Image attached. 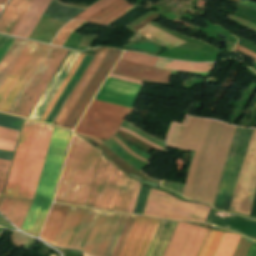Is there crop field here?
Here are the masks:
<instances>
[{"instance_id":"8a807250","label":"crop field","mask_w":256,"mask_h":256,"mask_svg":"<svg viewBox=\"0 0 256 256\" xmlns=\"http://www.w3.org/2000/svg\"><path fill=\"white\" fill-rule=\"evenodd\" d=\"M53 128L24 121L3 196L33 201ZM31 203L3 197L0 213L21 228Z\"/></svg>"},{"instance_id":"028f5c9d","label":"crop field","mask_w":256,"mask_h":256,"mask_svg":"<svg viewBox=\"0 0 256 256\" xmlns=\"http://www.w3.org/2000/svg\"><path fill=\"white\" fill-rule=\"evenodd\" d=\"M26 238H27V236H25L19 232H13V234L11 236L14 246L20 247V248H21L23 242L26 240Z\"/></svg>"},{"instance_id":"412701ff","label":"crop field","mask_w":256,"mask_h":256,"mask_svg":"<svg viewBox=\"0 0 256 256\" xmlns=\"http://www.w3.org/2000/svg\"><path fill=\"white\" fill-rule=\"evenodd\" d=\"M67 53V50L41 44L21 75V78L27 79L26 82L25 79L19 78L1 110L7 111L24 82L25 84L8 111L0 110V112L27 118Z\"/></svg>"},{"instance_id":"34b2d1b8","label":"crop field","mask_w":256,"mask_h":256,"mask_svg":"<svg viewBox=\"0 0 256 256\" xmlns=\"http://www.w3.org/2000/svg\"><path fill=\"white\" fill-rule=\"evenodd\" d=\"M238 128L241 129V131L224 182L220 202L219 205H214L225 209L227 208V204L250 130L242 129L240 127ZM255 189L256 129H251L227 209L249 215Z\"/></svg>"},{"instance_id":"214f88e0","label":"crop field","mask_w":256,"mask_h":256,"mask_svg":"<svg viewBox=\"0 0 256 256\" xmlns=\"http://www.w3.org/2000/svg\"><path fill=\"white\" fill-rule=\"evenodd\" d=\"M69 207L54 205L40 234L44 240L53 243Z\"/></svg>"},{"instance_id":"28ad6ade","label":"crop field","mask_w":256,"mask_h":256,"mask_svg":"<svg viewBox=\"0 0 256 256\" xmlns=\"http://www.w3.org/2000/svg\"><path fill=\"white\" fill-rule=\"evenodd\" d=\"M159 221L136 216L118 256H144Z\"/></svg>"},{"instance_id":"4177f3b9","label":"crop field","mask_w":256,"mask_h":256,"mask_svg":"<svg viewBox=\"0 0 256 256\" xmlns=\"http://www.w3.org/2000/svg\"><path fill=\"white\" fill-rule=\"evenodd\" d=\"M154 67L176 71V72L192 73V74H196L204 77H206V75L211 69V68L195 66V65L179 64V63H175V62H171V61H167L159 58Z\"/></svg>"},{"instance_id":"5a996713","label":"crop field","mask_w":256,"mask_h":256,"mask_svg":"<svg viewBox=\"0 0 256 256\" xmlns=\"http://www.w3.org/2000/svg\"><path fill=\"white\" fill-rule=\"evenodd\" d=\"M130 111V108L93 100L75 132L107 139Z\"/></svg>"},{"instance_id":"5d738f31","label":"crop field","mask_w":256,"mask_h":256,"mask_svg":"<svg viewBox=\"0 0 256 256\" xmlns=\"http://www.w3.org/2000/svg\"><path fill=\"white\" fill-rule=\"evenodd\" d=\"M84 256H88V255L84 254Z\"/></svg>"},{"instance_id":"c21b1889","label":"crop field","mask_w":256,"mask_h":256,"mask_svg":"<svg viewBox=\"0 0 256 256\" xmlns=\"http://www.w3.org/2000/svg\"><path fill=\"white\" fill-rule=\"evenodd\" d=\"M112 138L115 139L128 153H130L131 155H133V156H135V157H138V158H140V159H142V160H144V161L147 162V160H145V159H143V158L137 156L136 154H134V153H133L127 146H125L118 138H116L115 136L112 137ZM138 158H137V159H138ZM140 159H139V160H140Z\"/></svg>"},{"instance_id":"d1516ede","label":"crop field","mask_w":256,"mask_h":256,"mask_svg":"<svg viewBox=\"0 0 256 256\" xmlns=\"http://www.w3.org/2000/svg\"><path fill=\"white\" fill-rule=\"evenodd\" d=\"M225 233L210 231L199 256H214ZM240 235L226 233L215 256H231ZM251 239L241 236L232 256H246Z\"/></svg>"},{"instance_id":"d32e631a","label":"crop field","mask_w":256,"mask_h":256,"mask_svg":"<svg viewBox=\"0 0 256 256\" xmlns=\"http://www.w3.org/2000/svg\"><path fill=\"white\" fill-rule=\"evenodd\" d=\"M10 162L11 161H9V160L0 159V170H1L0 171V197H1V194H2V190H3V187H4L5 180H6V176H7V173H8Z\"/></svg>"},{"instance_id":"733c2abd","label":"crop field","mask_w":256,"mask_h":256,"mask_svg":"<svg viewBox=\"0 0 256 256\" xmlns=\"http://www.w3.org/2000/svg\"><path fill=\"white\" fill-rule=\"evenodd\" d=\"M50 1L33 0L12 35L28 38Z\"/></svg>"},{"instance_id":"f4fd0767","label":"crop field","mask_w":256,"mask_h":256,"mask_svg":"<svg viewBox=\"0 0 256 256\" xmlns=\"http://www.w3.org/2000/svg\"><path fill=\"white\" fill-rule=\"evenodd\" d=\"M100 152L73 135L55 202L86 205Z\"/></svg>"},{"instance_id":"730fd06b","label":"crop field","mask_w":256,"mask_h":256,"mask_svg":"<svg viewBox=\"0 0 256 256\" xmlns=\"http://www.w3.org/2000/svg\"><path fill=\"white\" fill-rule=\"evenodd\" d=\"M109 50V48H104V50L102 51L101 55L99 56V58L97 59L96 63L94 64V66L92 67L91 71L89 72V74L87 75L86 79L84 80V82L82 83L81 87L79 88V90L77 91V93L75 94L74 98L72 99V101L70 102L69 106L67 107V109L65 110L64 114L62 115V117L60 118L59 122L57 123L58 126H61V124L63 123L64 119L66 118V116L68 115L69 111L71 110V108L73 107V105L75 104L76 100L78 99V97L80 96V94L82 93L83 89L85 88V86L87 85L88 81L90 80V78L92 77V75L94 74L95 70L97 69V67L99 66V64L101 63L102 59L104 58V56L106 55L107 51Z\"/></svg>"},{"instance_id":"5142ce71","label":"crop field","mask_w":256,"mask_h":256,"mask_svg":"<svg viewBox=\"0 0 256 256\" xmlns=\"http://www.w3.org/2000/svg\"><path fill=\"white\" fill-rule=\"evenodd\" d=\"M112 72L142 80L165 83L169 82L171 74L169 71L152 68L121 59H119Z\"/></svg>"},{"instance_id":"d9b57169","label":"crop field","mask_w":256,"mask_h":256,"mask_svg":"<svg viewBox=\"0 0 256 256\" xmlns=\"http://www.w3.org/2000/svg\"><path fill=\"white\" fill-rule=\"evenodd\" d=\"M138 94V91L104 83L95 99L132 108Z\"/></svg>"},{"instance_id":"22f410ed","label":"crop field","mask_w":256,"mask_h":256,"mask_svg":"<svg viewBox=\"0 0 256 256\" xmlns=\"http://www.w3.org/2000/svg\"><path fill=\"white\" fill-rule=\"evenodd\" d=\"M119 53L120 50L110 48L102 63L100 64L95 74L89 81L88 85L84 89L83 93L81 94L76 104L70 111L69 115L65 119L62 127H66L72 130L73 126L77 122L78 118L82 114L83 110L87 106L88 102L92 98L93 94L97 90L98 86L102 82L103 78L107 74L108 70L112 66Z\"/></svg>"},{"instance_id":"b80d0937","label":"crop field","mask_w":256,"mask_h":256,"mask_svg":"<svg viewBox=\"0 0 256 256\" xmlns=\"http://www.w3.org/2000/svg\"><path fill=\"white\" fill-rule=\"evenodd\" d=\"M109 77H113V78L129 81V82H133V83H137V84H141V85L143 84V81L127 78V77L116 75V74H112V73H110Z\"/></svg>"},{"instance_id":"c035e120","label":"crop field","mask_w":256,"mask_h":256,"mask_svg":"<svg viewBox=\"0 0 256 256\" xmlns=\"http://www.w3.org/2000/svg\"><path fill=\"white\" fill-rule=\"evenodd\" d=\"M120 130L125 131V132H127V133H129V134L135 136L136 138H138V139H140V140H142V141H144V142L150 144L151 146H153V147H155V148H157V149H160V148H161V147H159V146H157V145H155V144H153V143H151V142H149V141L143 139L142 137L138 136L137 134H135V133H133V132L127 130V129H124V128L120 127Z\"/></svg>"},{"instance_id":"3316defc","label":"crop field","mask_w":256,"mask_h":256,"mask_svg":"<svg viewBox=\"0 0 256 256\" xmlns=\"http://www.w3.org/2000/svg\"><path fill=\"white\" fill-rule=\"evenodd\" d=\"M210 207L178 200L158 190H150L145 215L169 219L204 222Z\"/></svg>"},{"instance_id":"e1f06a70","label":"crop field","mask_w":256,"mask_h":256,"mask_svg":"<svg viewBox=\"0 0 256 256\" xmlns=\"http://www.w3.org/2000/svg\"><path fill=\"white\" fill-rule=\"evenodd\" d=\"M140 185H141V183L136 182V186H135V189H134V192H133V196H132V199H131V203H130L128 213L133 212V208H134V205H135V202H136V198H137V195H138V192H139Z\"/></svg>"},{"instance_id":"bc2a9ffb","label":"crop field","mask_w":256,"mask_h":256,"mask_svg":"<svg viewBox=\"0 0 256 256\" xmlns=\"http://www.w3.org/2000/svg\"><path fill=\"white\" fill-rule=\"evenodd\" d=\"M38 46V43L29 42L28 46L26 47L23 54L21 55L18 62L14 66L13 70L11 71L12 74L21 75L22 71L26 67L27 63L31 59L32 55L34 54ZM12 74H9V76L7 77L6 81L0 89V107L2 106L3 102L5 101L14 84L19 78L18 75Z\"/></svg>"},{"instance_id":"00972430","label":"crop field","mask_w":256,"mask_h":256,"mask_svg":"<svg viewBox=\"0 0 256 256\" xmlns=\"http://www.w3.org/2000/svg\"><path fill=\"white\" fill-rule=\"evenodd\" d=\"M131 6L132 5L125 0H116L86 21L105 25Z\"/></svg>"},{"instance_id":"750c4746","label":"crop field","mask_w":256,"mask_h":256,"mask_svg":"<svg viewBox=\"0 0 256 256\" xmlns=\"http://www.w3.org/2000/svg\"><path fill=\"white\" fill-rule=\"evenodd\" d=\"M121 59L129 60V61H133V62H137L140 64L153 67L157 58L151 57L148 55L138 54V53L124 52V54L121 56Z\"/></svg>"},{"instance_id":"ae1a2a85","label":"crop field","mask_w":256,"mask_h":256,"mask_svg":"<svg viewBox=\"0 0 256 256\" xmlns=\"http://www.w3.org/2000/svg\"><path fill=\"white\" fill-rule=\"evenodd\" d=\"M82 24L83 22L72 20L60 30L52 44L63 47L70 34Z\"/></svg>"},{"instance_id":"dafd665d","label":"crop field","mask_w":256,"mask_h":256,"mask_svg":"<svg viewBox=\"0 0 256 256\" xmlns=\"http://www.w3.org/2000/svg\"><path fill=\"white\" fill-rule=\"evenodd\" d=\"M92 58H93L92 56L86 55V57L84 58L83 62L81 61L82 63H81V65L79 64L80 66H79L78 70L76 69L77 70L76 73L74 72L75 74L72 77L71 81L69 80L70 81L69 84L67 85L66 89L64 90V92L60 96L59 100L57 101V103L53 107V109L50 112V114L48 115L47 119L45 120L46 123L52 124L53 120L57 116L58 112L62 108L63 104L67 100L68 96L72 92L73 88L77 84L78 80L82 76L83 72L87 68V66L90 63V61L92 60Z\"/></svg>"},{"instance_id":"dd49c442","label":"crop field","mask_w":256,"mask_h":256,"mask_svg":"<svg viewBox=\"0 0 256 256\" xmlns=\"http://www.w3.org/2000/svg\"><path fill=\"white\" fill-rule=\"evenodd\" d=\"M70 134L54 128L35 199L21 228L33 236H36L50 205Z\"/></svg>"},{"instance_id":"b54c1fbb","label":"crop field","mask_w":256,"mask_h":256,"mask_svg":"<svg viewBox=\"0 0 256 256\" xmlns=\"http://www.w3.org/2000/svg\"><path fill=\"white\" fill-rule=\"evenodd\" d=\"M7 0H0V4L4 5Z\"/></svg>"},{"instance_id":"ac0d7876","label":"crop field","mask_w":256,"mask_h":256,"mask_svg":"<svg viewBox=\"0 0 256 256\" xmlns=\"http://www.w3.org/2000/svg\"><path fill=\"white\" fill-rule=\"evenodd\" d=\"M133 217L70 207L53 245L116 256Z\"/></svg>"},{"instance_id":"0bd39190","label":"crop field","mask_w":256,"mask_h":256,"mask_svg":"<svg viewBox=\"0 0 256 256\" xmlns=\"http://www.w3.org/2000/svg\"><path fill=\"white\" fill-rule=\"evenodd\" d=\"M236 50L240 51L241 53L245 54L246 56H248L249 58L253 59L254 61H256V54L243 48V47H240V46H236L235 47Z\"/></svg>"},{"instance_id":"03da06ac","label":"crop field","mask_w":256,"mask_h":256,"mask_svg":"<svg viewBox=\"0 0 256 256\" xmlns=\"http://www.w3.org/2000/svg\"><path fill=\"white\" fill-rule=\"evenodd\" d=\"M247 256H256V241H253Z\"/></svg>"},{"instance_id":"e52e79f7","label":"crop field","mask_w":256,"mask_h":256,"mask_svg":"<svg viewBox=\"0 0 256 256\" xmlns=\"http://www.w3.org/2000/svg\"><path fill=\"white\" fill-rule=\"evenodd\" d=\"M135 182L102 153L86 207L126 213Z\"/></svg>"},{"instance_id":"cbeb9de0","label":"crop field","mask_w":256,"mask_h":256,"mask_svg":"<svg viewBox=\"0 0 256 256\" xmlns=\"http://www.w3.org/2000/svg\"><path fill=\"white\" fill-rule=\"evenodd\" d=\"M79 55H80L79 52L69 51L68 55L64 59L60 68L58 69L55 76L53 77L50 84L48 85L47 89L45 90L42 97L40 98L39 102L35 106L32 113L30 114L29 119L39 121L40 117L44 113L45 109L49 105L50 101L54 97L55 93L59 89L60 85L64 81L65 77L69 73L70 69L74 65Z\"/></svg>"},{"instance_id":"4a817a6b","label":"crop field","mask_w":256,"mask_h":256,"mask_svg":"<svg viewBox=\"0 0 256 256\" xmlns=\"http://www.w3.org/2000/svg\"><path fill=\"white\" fill-rule=\"evenodd\" d=\"M31 2L32 0H11L0 17V32L11 35Z\"/></svg>"},{"instance_id":"a9b5d70f","label":"crop field","mask_w":256,"mask_h":256,"mask_svg":"<svg viewBox=\"0 0 256 256\" xmlns=\"http://www.w3.org/2000/svg\"><path fill=\"white\" fill-rule=\"evenodd\" d=\"M137 33L171 49L177 45L183 44L185 43V41L178 39L166 32H163L151 25H146L145 27H143L142 29H140L139 31H137Z\"/></svg>"},{"instance_id":"5866460e","label":"crop field","mask_w":256,"mask_h":256,"mask_svg":"<svg viewBox=\"0 0 256 256\" xmlns=\"http://www.w3.org/2000/svg\"><path fill=\"white\" fill-rule=\"evenodd\" d=\"M13 40V37L0 35V61L2 60Z\"/></svg>"},{"instance_id":"d3111659","label":"crop field","mask_w":256,"mask_h":256,"mask_svg":"<svg viewBox=\"0 0 256 256\" xmlns=\"http://www.w3.org/2000/svg\"><path fill=\"white\" fill-rule=\"evenodd\" d=\"M85 54L81 53L80 57L78 58V60L76 61L75 65L73 66L72 70L70 71V73L68 74L67 78L65 79V81L63 82L62 86L60 87L59 91L57 92V94L55 95L54 99L52 100L51 104L49 105V107L47 108L46 112L44 113V115L41 118V122H44V120L46 119L47 115L49 114V112L51 111L52 107L54 106V104L56 103V101L58 100L59 96L61 95V93L63 92L64 88L66 87V85L68 84L69 80L71 79V77L73 76L74 72L76 71V69L78 68L79 64L81 63V61L83 60Z\"/></svg>"},{"instance_id":"1d83c4d3","label":"crop field","mask_w":256,"mask_h":256,"mask_svg":"<svg viewBox=\"0 0 256 256\" xmlns=\"http://www.w3.org/2000/svg\"><path fill=\"white\" fill-rule=\"evenodd\" d=\"M113 1L114 0H100L98 3H96L95 5H93L89 9H87L86 11L82 12L81 14L76 16L74 19L84 21L87 18H89L90 16H92L93 14H95L96 12H98L99 10H101L102 8H104L105 6H107L108 4H110L111 2H113Z\"/></svg>"},{"instance_id":"bd1437ed","label":"crop field","mask_w":256,"mask_h":256,"mask_svg":"<svg viewBox=\"0 0 256 256\" xmlns=\"http://www.w3.org/2000/svg\"><path fill=\"white\" fill-rule=\"evenodd\" d=\"M104 47L99 48L98 52L96 53L94 59L92 60L91 64L89 65V67L87 68L86 72L84 73V75L82 76V78L80 79L79 83L77 84V86L75 87V89L73 90L72 94L70 95V97L68 98L67 102L65 103V105L63 106V108L61 109L60 113L58 114V116L56 117L55 121L53 122L54 125H56V123L58 122L59 118L61 117V115L63 114L64 110L66 109V107L68 106L69 102L71 101V99L73 98L74 94L76 93V91L78 90L79 86L81 85V83L83 82V80L85 79L86 75L88 74V72L90 71L91 67L93 66V64L95 63L96 59L98 58V56L100 55L101 51L103 50Z\"/></svg>"},{"instance_id":"92a150f3","label":"crop field","mask_w":256,"mask_h":256,"mask_svg":"<svg viewBox=\"0 0 256 256\" xmlns=\"http://www.w3.org/2000/svg\"><path fill=\"white\" fill-rule=\"evenodd\" d=\"M28 41L15 38L6 55L0 63V87L25 49Z\"/></svg>"},{"instance_id":"d8731c3e","label":"crop field","mask_w":256,"mask_h":256,"mask_svg":"<svg viewBox=\"0 0 256 256\" xmlns=\"http://www.w3.org/2000/svg\"><path fill=\"white\" fill-rule=\"evenodd\" d=\"M178 222L161 220L145 256H162ZM208 229L179 222L163 256H197Z\"/></svg>"},{"instance_id":"eef30255","label":"crop field","mask_w":256,"mask_h":256,"mask_svg":"<svg viewBox=\"0 0 256 256\" xmlns=\"http://www.w3.org/2000/svg\"><path fill=\"white\" fill-rule=\"evenodd\" d=\"M18 133L17 131L0 127V149L13 151Z\"/></svg>"},{"instance_id":"120bbe31","label":"crop field","mask_w":256,"mask_h":256,"mask_svg":"<svg viewBox=\"0 0 256 256\" xmlns=\"http://www.w3.org/2000/svg\"><path fill=\"white\" fill-rule=\"evenodd\" d=\"M148 187L141 185V189L138 195V199L135 205V209L133 213H137V214H141L142 213V209L145 203V199L148 193Z\"/></svg>"}]
</instances>
